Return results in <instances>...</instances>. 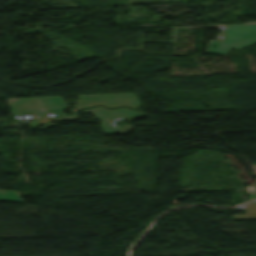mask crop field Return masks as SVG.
Returning <instances> with one entry per match:
<instances>
[{
  "label": "crop field",
  "instance_id": "crop-field-2",
  "mask_svg": "<svg viewBox=\"0 0 256 256\" xmlns=\"http://www.w3.org/2000/svg\"><path fill=\"white\" fill-rule=\"evenodd\" d=\"M0 200L21 201V197H19L16 192L0 191Z\"/></svg>",
  "mask_w": 256,
  "mask_h": 256
},
{
  "label": "crop field",
  "instance_id": "crop-field-1",
  "mask_svg": "<svg viewBox=\"0 0 256 256\" xmlns=\"http://www.w3.org/2000/svg\"><path fill=\"white\" fill-rule=\"evenodd\" d=\"M256 42V24L227 25L224 40L210 41L207 52L227 54L231 48H241Z\"/></svg>",
  "mask_w": 256,
  "mask_h": 256
}]
</instances>
